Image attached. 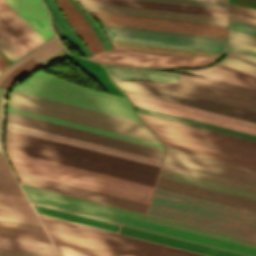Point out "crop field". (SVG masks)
<instances>
[{"instance_id":"crop-field-1","label":"crop field","mask_w":256,"mask_h":256,"mask_svg":"<svg viewBox=\"0 0 256 256\" xmlns=\"http://www.w3.org/2000/svg\"><path fill=\"white\" fill-rule=\"evenodd\" d=\"M149 214L256 240V212L157 187Z\"/></svg>"},{"instance_id":"crop-field-2","label":"crop field","mask_w":256,"mask_h":256,"mask_svg":"<svg viewBox=\"0 0 256 256\" xmlns=\"http://www.w3.org/2000/svg\"><path fill=\"white\" fill-rule=\"evenodd\" d=\"M159 176L256 200L255 169L171 148Z\"/></svg>"},{"instance_id":"crop-field-3","label":"crop field","mask_w":256,"mask_h":256,"mask_svg":"<svg viewBox=\"0 0 256 256\" xmlns=\"http://www.w3.org/2000/svg\"><path fill=\"white\" fill-rule=\"evenodd\" d=\"M15 171L150 203L152 186L6 150Z\"/></svg>"},{"instance_id":"crop-field-4","label":"crop field","mask_w":256,"mask_h":256,"mask_svg":"<svg viewBox=\"0 0 256 256\" xmlns=\"http://www.w3.org/2000/svg\"><path fill=\"white\" fill-rule=\"evenodd\" d=\"M39 217L51 241L61 242L113 256H156L163 248L194 256H204L40 215ZM157 256L189 255L163 249Z\"/></svg>"},{"instance_id":"crop-field-5","label":"crop field","mask_w":256,"mask_h":256,"mask_svg":"<svg viewBox=\"0 0 256 256\" xmlns=\"http://www.w3.org/2000/svg\"><path fill=\"white\" fill-rule=\"evenodd\" d=\"M14 90L140 121L127 98L82 88L41 72Z\"/></svg>"},{"instance_id":"crop-field-6","label":"crop field","mask_w":256,"mask_h":256,"mask_svg":"<svg viewBox=\"0 0 256 256\" xmlns=\"http://www.w3.org/2000/svg\"><path fill=\"white\" fill-rule=\"evenodd\" d=\"M8 105L158 142L143 123L12 91ZM159 143V142H158Z\"/></svg>"},{"instance_id":"crop-field-7","label":"crop field","mask_w":256,"mask_h":256,"mask_svg":"<svg viewBox=\"0 0 256 256\" xmlns=\"http://www.w3.org/2000/svg\"><path fill=\"white\" fill-rule=\"evenodd\" d=\"M176 71L189 73L181 70ZM202 77L204 78L182 74L179 85L148 81L135 82L256 111V89L205 76Z\"/></svg>"},{"instance_id":"crop-field-8","label":"crop field","mask_w":256,"mask_h":256,"mask_svg":"<svg viewBox=\"0 0 256 256\" xmlns=\"http://www.w3.org/2000/svg\"><path fill=\"white\" fill-rule=\"evenodd\" d=\"M25 193H27V192H25ZM28 194H31V193H28ZM28 194H27V196H28L30 202H35V203H39V204H43V205H47V206H51V207H55V208H59V209L79 213V214H83V215H87V216H91V217H95V218H99V219H103V220H107V221H111V222L131 226V227H135V228H139V229H143V230H147V231H151V232H155V233H159V234H163V235H167V236H171V237H175V238H179V239H183V240H187V241H191V242H195V243H199V244H203V245H207V246H211V247H216V248H220V249H224V250H228V251H232V252H236V253H240V254H244V255H248V256H256V251H255L256 248H252V247H248V246H244V245H239V244H235V243H231V242H227V241H223V240H219V239H215V238H211V237H207V236H203V235H199V234H194V233H190V232H186V231H182V230H178V229H174V228L154 224V225H158V226H162V227H166V228H170V229H174V230H178V231H182V232H186V233H190V234H194V235H198V236H202V237H206V238H210V239H214V240H219V241H223V242H227V243H231V244H235V245L255 249V250H251V249H247V248H243V247H239V246H235V245H231V244H227V243H223V242H219V241H214V240H210V239H206V238H202V237H198V236H194V235H190V234H186V233H182V232H178V231H174V230H170V229H166V228H162V227H158V226L149 225V224H153V223H149V222H145V221H141V220H137V219H133V218H129V217L109 213V214L129 218V219L149 223V224H145V223H141V222H137V221H133V220H129V219H125V218L105 214V213H108V212L101 213V212H104V211H101V212H97V211H100V210L93 211V210H96V209L88 210V209H92V208H88V207L68 203V204L88 208V209H84V208L64 204V203H67V202L60 203V202H63V201L56 202V201H59V200L52 201V200H55V199L48 200V199H51V198L44 199V198H47V197L40 198V197H43V196L36 197V196H39V195L32 196V195H35V194H32V195H28Z\"/></svg>"},{"instance_id":"crop-field-9","label":"crop field","mask_w":256,"mask_h":256,"mask_svg":"<svg viewBox=\"0 0 256 256\" xmlns=\"http://www.w3.org/2000/svg\"><path fill=\"white\" fill-rule=\"evenodd\" d=\"M111 40L225 53L226 39L102 25Z\"/></svg>"},{"instance_id":"crop-field-10","label":"crop field","mask_w":256,"mask_h":256,"mask_svg":"<svg viewBox=\"0 0 256 256\" xmlns=\"http://www.w3.org/2000/svg\"><path fill=\"white\" fill-rule=\"evenodd\" d=\"M34 205L38 213L40 214L76 222V223H80V224H84V225H88V226H92V227H96V228H100L108 231H112V228H113L114 233H116L117 231L119 233L131 235V236H135V237H139V238H143V239H147V240H151V241H155V242H159V243H163V244H167V245H171V246H175V247H179L187 250H192V251H196V252H200V253H204L212 256H243V255H239V254H235V253H231V252H227V251H223V250H219V249H215V248H211V247H207V246H203V245H199V244H195V243H191V242H187V241H183V240H179V239H175V238H171V237H167V236H163L155 233H150V232H146V231H142V230H138V229L113 223L116 229L115 231L113 224L111 223V226H112L111 228L110 223L106 221L89 218V217H85V216H81V215H77V214H73V213H69V212H65V211H61V210H57V209H53V208H49V207H45L37 204H34Z\"/></svg>"},{"instance_id":"crop-field-11","label":"crop field","mask_w":256,"mask_h":256,"mask_svg":"<svg viewBox=\"0 0 256 256\" xmlns=\"http://www.w3.org/2000/svg\"><path fill=\"white\" fill-rule=\"evenodd\" d=\"M88 59L113 65L153 68L198 67L215 61L213 59L128 50L120 48H114L108 52L95 55Z\"/></svg>"},{"instance_id":"crop-field-12","label":"crop field","mask_w":256,"mask_h":256,"mask_svg":"<svg viewBox=\"0 0 256 256\" xmlns=\"http://www.w3.org/2000/svg\"><path fill=\"white\" fill-rule=\"evenodd\" d=\"M144 122L149 126V128L154 132L157 137L256 161V147L148 120H144Z\"/></svg>"},{"instance_id":"crop-field-13","label":"crop field","mask_w":256,"mask_h":256,"mask_svg":"<svg viewBox=\"0 0 256 256\" xmlns=\"http://www.w3.org/2000/svg\"><path fill=\"white\" fill-rule=\"evenodd\" d=\"M124 91V90H123ZM131 104L256 135V123L236 119L128 91Z\"/></svg>"},{"instance_id":"crop-field-14","label":"crop field","mask_w":256,"mask_h":256,"mask_svg":"<svg viewBox=\"0 0 256 256\" xmlns=\"http://www.w3.org/2000/svg\"><path fill=\"white\" fill-rule=\"evenodd\" d=\"M101 24L226 38V27L90 11Z\"/></svg>"},{"instance_id":"crop-field-15","label":"crop field","mask_w":256,"mask_h":256,"mask_svg":"<svg viewBox=\"0 0 256 256\" xmlns=\"http://www.w3.org/2000/svg\"><path fill=\"white\" fill-rule=\"evenodd\" d=\"M5 139L155 176L159 168L6 130Z\"/></svg>"},{"instance_id":"crop-field-16","label":"crop field","mask_w":256,"mask_h":256,"mask_svg":"<svg viewBox=\"0 0 256 256\" xmlns=\"http://www.w3.org/2000/svg\"><path fill=\"white\" fill-rule=\"evenodd\" d=\"M7 121L90 141V142H94V143H98V144H102V145H106V146H111V147L131 151V152H135V153H139V154H143V155H147V156H151L159 159L162 158V155L164 152L162 150H158V149H154V148H150V147H146V146H142V145H138V144H134V143H130V142L70 128V127H66V126H62V125L14 114V113H10V112H8Z\"/></svg>"},{"instance_id":"crop-field-17","label":"crop field","mask_w":256,"mask_h":256,"mask_svg":"<svg viewBox=\"0 0 256 256\" xmlns=\"http://www.w3.org/2000/svg\"><path fill=\"white\" fill-rule=\"evenodd\" d=\"M121 89L256 122V112L170 92L130 81L115 82Z\"/></svg>"},{"instance_id":"crop-field-18","label":"crop field","mask_w":256,"mask_h":256,"mask_svg":"<svg viewBox=\"0 0 256 256\" xmlns=\"http://www.w3.org/2000/svg\"><path fill=\"white\" fill-rule=\"evenodd\" d=\"M5 146H6V149L8 150L100 172V173L132 180V181H136V182H140V183H144L152 186L155 185V182L157 179L155 177H151V176H147V175H143V174H139V173H135V172H131V171L83 160V159L39 149V148H35V147L23 145V144L11 142V141H7V140H5Z\"/></svg>"},{"instance_id":"crop-field-19","label":"crop field","mask_w":256,"mask_h":256,"mask_svg":"<svg viewBox=\"0 0 256 256\" xmlns=\"http://www.w3.org/2000/svg\"><path fill=\"white\" fill-rule=\"evenodd\" d=\"M22 187L24 191H27V192H31V193H35V194L63 200V201H68V202H72V203H76V204H80V205H84V206H88V207H92V208H96V209H100L108 212H113V213L129 216V217L149 221V222H154V223H158V224H162V225H166V226H170V227H174V228H178V229H182V230H186L194 233H199V234H203V235H207V236H211V237H215V238H219V239H223V240H227L235 243L256 247V242H252V241H248V240H244L236 237H231V236H227V235H223V234H219V233H215V232H211V231H207V230H203V229H199V228H195V227H191L183 224H178V223H174V222H170V221H166V220H162V219H158V218H154V217H150V216H146V215H142V214H138L130 211H125V210H121V209H117V208H113V207H109V206H105V205H101V204H97V203H93V202H89V201H85L77 198H72V197H68V196H64V195H60V194H56V193H52V192L24 186V185H22Z\"/></svg>"},{"instance_id":"crop-field-20","label":"crop field","mask_w":256,"mask_h":256,"mask_svg":"<svg viewBox=\"0 0 256 256\" xmlns=\"http://www.w3.org/2000/svg\"><path fill=\"white\" fill-rule=\"evenodd\" d=\"M88 10L226 26L227 18L81 2Z\"/></svg>"},{"instance_id":"crop-field-21","label":"crop field","mask_w":256,"mask_h":256,"mask_svg":"<svg viewBox=\"0 0 256 256\" xmlns=\"http://www.w3.org/2000/svg\"><path fill=\"white\" fill-rule=\"evenodd\" d=\"M6 129L60 142V143H64V144H68V145H72V146H77V147L109 154V155H113V156H117V157H121V158H125V159H129V160H133V161H137V162H141V163H146V164H150L158 167L161 161L159 159H155V158H151V157H147V156H143V155H139V154H135V153H131V152H127V151H123V150H119L111 147H106V146H102V145H98V144H94V143H90V142H86V141H82V140H78V139H74V138H70L62 135H57V134L9 123V122H7Z\"/></svg>"},{"instance_id":"crop-field-22","label":"crop field","mask_w":256,"mask_h":256,"mask_svg":"<svg viewBox=\"0 0 256 256\" xmlns=\"http://www.w3.org/2000/svg\"><path fill=\"white\" fill-rule=\"evenodd\" d=\"M17 174L21 182H24V183L72 194V195H76V196H80V197H84V198H88V199H92V200H96V201H100V202H104V203H108V204H112V205H116V206H120L128 209L144 212V213H147L148 211L149 205L147 204H143V203H139V202H135V201H131V200H127V199H123V198H119V197H115V196H111V195H107V194H103V193H99V192H95L87 189H82V188L18 173V172Z\"/></svg>"},{"instance_id":"crop-field-23","label":"crop field","mask_w":256,"mask_h":256,"mask_svg":"<svg viewBox=\"0 0 256 256\" xmlns=\"http://www.w3.org/2000/svg\"><path fill=\"white\" fill-rule=\"evenodd\" d=\"M0 25L28 52L45 41L4 0H0Z\"/></svg>"},{"instance_id":"crop-field-24","label":"crop field","mask_w":256,"mask_h":256,"mask_svg":"<svg viewBox=\"0 0 256 256\" xmlns=\"http://www.w3.org/2000/svg\"><path fill=\"white\" fill-rule=\"evenodd\" d=\"M158 187L256 211V201L159 177Z\"/></svg>"},{"instance_id":"crop-field-25","label":"crop field","mask_w":256,"mask_h":256,"mask_svg":"<svg viewBox=\"0 0 256 256\" xmlns=\"http://www.w3.org/2000/svg\"><path fill=\"white\" fill-rule=\"evenodd\" d=\"M45 40L53 35L48 11L41 0H5Z\"/></svg>"},{"instance_id":"crop-field-26","label":"crop field","mask_w":256,"mask_h":256,"mask_svg":"<svg viewBox=\"0 0 256 256\" xmlns=\"http://www.w3.org/2000/svg\"><path fill=\"white\" fill-rule=\"evenodd\" d=\"M0 220L40 225L26 197L0 194Z\"/></svg>"},{"instance_id":"crop-field-27","label":"crop field","mask_w":256,"mask_h":256,"mask_svg":"<svg viewBox=\"0 0 256 256\" xmlns=\"http://www.w3.org/2000/svg\"><path fill=\"white\" fill-rule=\"evenodd\" d=\"M74 30L86 44L92 55L104 51L90 25L69 0H55Z\"/></svg>"},{"instance_id":"crop-field-28","label":"crop field","mask_w":256,"mask_h":256,"mask_svg":"<svg viewBox=\"0 0 256 256\" xmlns=\"http://www.w3.org/2000/svg\"><path fill=\"white\" fill-rule=\"evenodd\" d=\"M102 65L105 67L113 81L124 79H146L151 81H162L178 84L181 75L165 71H152L146 69L125 68L104 64Z\"/></svg>"},{"instance_id":"crop-field-29","label":"crop field","mask_w":256,"mask_h":256,"mask_svg":"<svg viewBox=\"0 0 256 256\" xmlns=\"http://www.w3.org/2000/svg\"><path fill=\"white\" fill-rule=\"evenodd\" d=\"M8 111L62 124V125H66V126H70V127H74V128H78V129H82V130H86V131H90V132H94V133H98V134H102V135H106V136H110V137H114V138H118V139H122V140H126V141H130V142H134V143H138V144H142V145H146V146H150V147H154V148H158V149H162V150L165 149L161 144H158V143H154V142H150V141H146V140H142V139H138V138H134V137H130V136L70 122V121H66V120H62V119L14 108V107H10V106H8Z\"/></svg>"},{"instance_id":"crop-field-30","label":"crop field","mask_w":256,"mask_h":256,"mask_svg":"<svg viewBox=\"0 0 256 256\" xmlns=\"http://www.w3.org/2000/svg\"><path fill=\"white\" fill-rule=\"evenodd\" d=\"M81 1H90V2H99V3H108V4H116V5H125V6H134V7H143V8H152V9H161V10H170V11H179V12L227 17V11H223V10L153 3V2L136 1V0H81Z\"/></svg>"},{"instance_id":"crop-field-31","label":"crop field","mask_w":256,"mask_h":256,"mask_svg":"<svg viewBox=\"0 0 256 256\" xmlns=\"http://www.w3.org/2000/svg\"><path fill=\"white\" fill-rule=\"evenodd\" d=\"M133 107H134L135 111L138 113H142V114H146V115H150V116H154V117H158V118H162V119H166V120H170V121L206 129V130H211V131H215V132H219V133H223V134H227V135H231V136H235V137H239V138H243V139H247V140L256 142L255 135L242 133V132H238V131H234V130H230V129H226V128H222V127H218V126H214V125H210V124H206V123H202V122H198V121H194V120H190V119H186V118H182V117H178V116H174V115H170V114L134 106V105H133Z\"/></svg>"},{"instance_id":"crop-field-32","label":"crop field","mask_w":256,"mask_h":256,"mask_svg":"<svg viewBox=\"0 0 256 256\" xmlns=\"http://www.w3.org/2000/svg\"><path fill=\"white\" fill-rule=\"evenodd\" d=\"M0 236L50 243L43 228L0 222Z\"/></svg>"},{"instance_id":"crop-field-33","label":"crop field","mask_w":256,"mask_h":256,"mask_svg":"<svg viewBox=\"0 0 256 256\" xmlns=\"http://www.w3.org/2000/svg\"><path fill=\"white\" fill-rule=\"evenodd\" d=\"M65 57L70 59L77 66L90 74L107 93L122 95V93L111 82V80L108 78L105 71L99 64L75 57L70 54L65 55Z\"/></svg>"},{"instance_id":"crop-field-34","label":"crop field","mask_w":256,"mask_h":256,"mask_svg":"<svg viewBox=\"0 0 256 256\" xmlns=\"http://www.w3.org/2000/svg\"><path fill=\"white\" fill-rule=\"evenodd\" d=\"M160 141L163 143L164 146H167V147H171V148H175V149H179V150H183V151H187V152H191V153H195V154H199V155H203V156H207V157H211V158H215V159H219V160H223V161H227V162H231V163L256 169V162H252V161H248V160H244V159L164 140V139H160Z\"/></svg>"},{"instance_id":"crop-field-35","label":"crop field","mask_w":256,"mask_h":256,"mask_svg":"<svg viewBox=\"0 0 256 256\" xmlns=\"http://www.w3.org/2000/svg\"><path fill=\"white\" fill-rule=\"evenodd\" d=\"M46 4L47 8L53 15L54 19L62 29L63 33L67 37V39L85 56H91L90 52L75 34L73 29L70 27L64 16L59 11L58 7L56 6L54 0H43Z\"/></svg>"},{"instance_id":"crop-field-36","label":"crop field","mask_w":256,"mask_h":256,"mask_svg":"<svg viewBox=\"0 0 256 256\" xmlns=\"http://www.w3.org/2000/svg\"><path fill=\"white\" fill-rule=\"evenodd\" d=\"M61 48H63L62 45L59 43L55 36H52L49 40H47L44 44L35 49L33 52L16 61L9 68H7L0 76V83L13 69H15L17 66H19L21 63L28 60L29 58L32 57L38 62Z\"/></svg>"},{"instance_id":"crop-field-37","label":"crop field","mask_w":256,"mask_h":256,"mask_svg":"<svg viewBox=\"0 0 256 256\" xmlns=\"http://www.w3.org/2000/svg\"><path fill=\"white\" fill-rule=\"evenodd\" d=\"M0 248L57 255L52 244L0 237Z\"/></svg>"},{"instance_id":"crop-field-38","label":"crop field","mask_w":256,"mask_h":256,"mask_svg":"<svg viewBox=\"0 0 256 256\" xmlns=\"http://www.w3.org/2000/svg\"><path fill=\"white\" fill-rule=\"evenodd\" d=\"M0 170L11 171L3 154H0ZM0 193L24 196L13 173L0 171Z\"/></svg>"},{"instance_id":"crop-field-39","label":"crop field","mask_w":256,"mask_h":256,"mask_svg":"<svg viewBox=\"0 0 256 256\" xmlns=\"http://www.w3.org/2000/svg\"><path fill=\"white\" fill-rule=\"evenodd\" d=\"M202 70L256 83V72L218 63Z\"/></svg>"},{"instance_id":"crop-field-40","label":"crop field","mask_w":256,"mask_h":256,"mask_svg":"<svg viewBox=\"0 0 256 256\" xmlns=\"http://www.w3.org/2000/svg\"><path fill=\"white\" fill-rule=\"evenodd\" d=\"M221 63L256 71V57L227 50V57Z\"/></svg>"},{"instance_id":"crop-field-41","label":"crop field","mask_w":256,"mask_h":256,"mask_svg":"<svg viewBox=\"0 0 256 256\" xmlns=\"http://www.w3.org/2000/svg\"><path fill=\"white\" fill-rule=\"evenodd\" d=\"M138 115L144 119H148V120H152V121H156V122H160V123H164V124H168V125H172V126H176V127H180V128H184V129H188V130H192V131H196V132H200V133H204V134H208V135H212V136H216V137H220V138L256 146L255 142H251V141H247V140H243V139H239V138H235V137H231V136H227V135H223V134H219V133H215V132H211V131H206V130H202V129H198V128H194V127H190V126H186V125H182V124H178V123H174V122H170V121H166V120H162V119H158V118H154V117H150V116H146V115H142V114H138Z\"/></svg>"},{"instance_id":"crop-field-42","label":"crop field","mask_w":256,"mask_h":256,"mask_svg":"<svg viewBox=\"0 0 256 256\" xmlns=\"http://www.w3.org/2000/svg\"><path fill=\"white\" fill-rule=\"evenodd\" d=\"M40 67L32 58L21 64L15 70H13L9 76L2 82L1 87L9 88V86L19 77L28 73L29 71Z\"/></svg>"},{"instance_id":"crop-field-43","label":"crop field","mask_w":256,"mask_h":256,"mask_svg":"<svg viewBox=\"0 0 256 256\" xmlns=\"http://www.w3.org/2000/svg\"><path fill=\"white\" fill-rule=\"evenodd\" d=\"M145 1H153V2H162V3H171V4H180V5H188V6H197V7H206V8L227 10V4L214 3V2H205V1H196V0H145Z\"/></svg>"},{"instance_id":"crop-field-44","label":"crop field","mask_w":256,"mask_h":256,"mask_svg":"<svg viewBox=\"0 0 256 256\" xmlns=\"http://www.w3.org/2000/svg\"><path fill=\"white\" fill-rule=\"evenodd\" d=\"M54 246L56 247L59 256H107V255H103V254H99V253H95V252H91V251H87V250H82V249H78V248H74V247H70V246H66V245H61L63 252L59 246L58 243H54Z\"/></svg>"},{"instance_id":"crop-field-45","label":"crop field","mask_w":256,"mask_h":256,"mask_svg":"<svg viewBox=\"0 0 256 256\" xmlns=\"http://www.w3.org/2000/svg\"><path fill=\"white\" fill-rule=\"evenodd\" d=\"M228 44L256 51V40L228 33Z\"/></svg>"},{"instance_id":"crop-field-46","label":"crop field","mask_w":256,"mask_h":256,"mask_svg":"<svg viewBox=\"0 0 256 256\" xmlns=\"http://www.w3.org/2000/svg\"><path fill=\"white\" fill-rule=\"evenodd\" d=\"M189 72H193V73H197V74H201V75H205V76H209V77H213V78H217V79H221V80H225V81H229V82L256 88V84H254V83H250V82H246V81H242V80H238V79H234V78H230V77H226V76H222V75H218V74H214V73H210V72H206V71H202V70H194V71H189Z\"/></svg>"},{"instance_id":"crop-field-47","label":"crop field","mask_w":256,"mask_h":256,"mask_svg":"<svg viewBox=\"0 0 256 256\" xmlns=\"http://www.w3.org/2000/svg\"><path fill=\"white\" fill-rule=\"evenodd\" d=\"M228 29L256 36V27L229 20Z\"/></svg>"},{"instance_id":"crop-field-48","label":"crop field","mask_w":256,"mask_h":256,"mask_svg":"<svg viewBox=\"0 0 256 256\" xmlns=\"http://www.w3.org/2000/svg\"><path fill=\"white\" fill-rule=\"evenodd\" d=\"M0 36L10 44L21 56L28 53L12 36L0 26Z\"/></svg>"},{"instance_id":"crop-field-49","label":"crop field","mask_w":256,"mask_h":256,"mask_svg":"<svg viewBox=\"0 0 256 256\" xmlns=\"http://www.w3.org/2000/svg\"><path fill=\"white\" fill-rule=\"evenodd\" d=\"M229 11L256 18V10L255 9H251V8H247V7L229 3Z\"/></svg>"},{"instance_id":"crop-field-50","label":"crop field","mask_w":256,"mask_h":256,"mask_svg":"<svg viewBox=\"0 0 256 256\" xmlns=\"http://www.w3.org/2000/svg\"><path fill=\"white\" fill-rule=\"evenodd\" d=\"M0 256H54V255L0 249Z\"/></svg>"},{"instance_id":"crop-field-51","label":"crop field","mask_w":256,"mask_h":256,"mask_svg":"<svg viewBox=\"0 0 256 256\" xmlns=\"http://www.w3.org/2000/svg\"><path fill=\"white\" fill-rule=\"evenodd\" d=\"M0 49L12 60L21 57L10 45L0 37ZM16 61V60H15Z\"/></svg>"},{"instance_id":"crop-field-52","label":"crop field","mask_w":256,"mask_h":256,"mask_svg":"<svg viewBox=\"0 0 256 256\" xmlns=\"http://www.w3.org/2000/svg\"><path fill=\"white\" fill-rule=\"evenodd\" d=\"M229 19L256 26V19L255 18H251V17H247V16H243V15H239V14L229 12Z\"/></svg>"},{"instance_id":"crop-field-53","label":"crop field","mask_w":256,"mask_h":256,"mask_svg":"<svg viewBox=\"0 0 256 256\" xmlns=\"http://www.w3.org/2000/svg\"><path fill=\"white\" fill-rule=\"evenodd\" d=\"M6 92L7 90L0 89V137H1L2 122H3V106H4V99H5ZM0 152H2L1 143H0Z\"/></svg>"},{"instance_id":"crop-field-54","label":"crop field","mask_w":256,"mask_h":256,"mask_svg":"<svg viewBox=\"0 0 256 256\" xmlns=\"http://www.w3.org/2000/svg\"><path fill=\"white\" fill-rule=\"evenodd\" d=\"M65 53H67V51L63 48V49L57 51L56 53L52 54L51 56L45 58L44 60H42V61H40L38 63L42 66V65H44V64H46V63H48V62H50V61L60 57V56H62Z\"/></svg>"},{"instance_id":"crop-field-55","label":"crop field","mask_w":256,"mask_h":256,"mask_svg":"<svg viewBox=\"0 0 256 256\" xmlns=\"http://www.w3.org/2000/svg\"><path fill=\"white\" fill-rule=\"evenodd\" d=\"M229 2L256 9V0H229Z\"/></svg>"},{"instance_id":"crop-field-56","label":"crop field","mask_w":256,"mask_h":256,"mask_svg":"<svg viewBox=\"0 0 256 256\" xmlns=\"http://www.w3.org/2000/svg\"><path fill=\"white\" fill-rule=\"evenodd\" d=\"M227 49L236 51V52H240V53H244V54H248V55H252V56H256V52H254V51H250V50H246V49H242V48H238V47H234V46H230V45H228Z\"/></svg>"},{"instance_id":"crop-field-57","label":"crop field","mask_w":256,"mask_h":256,"mask_svg":"<svg viewBox=\"0 0 256 256\" xmlns=\"http://www.w3.org/2000/svg\"><path fill=\"white\" fill-rule=\"evenodd\" d=\"M9 65L10 64L3 57L0 56V72L2 73V71Z\"/></svg>"},{"instance_id":"crop-field-58","label":"crop field","mask_w":256,"mask_h":256,"mask_svg":"<svg viewBox=\"0 0 256 256\" xmlns=\"http://www.w3.org/2000/svg\"><path fill=\"white\" fill-rule=\"evenodd\" d=\"M228 32L256 39V37H254V36H250V35L234 32V31H230V30H228Z\"/></svg>"},{"instance_id":"crop-field-59","label":"crop field","mask_w":256,"mask_h":256,"mask_svg":"<svg viewBox=\"0 0 256 256\" xmlns=\"http://www.w3.org/2000/svg\"><path fill=\"white\" fill-rule=\"evenodd\" d=\"M205 1H214V2H223V3H227V0H205Z\"/></svg>"},{"instance_id":"crop-field-60","label":"crop field","mask_w":256,"mask_h":256,"mask_svg":"<svg viewBox=\"0 0 256 256\" xmlns=\"http://www.w3.org/2000/svg\"><path fill=\"white\" fill-rule=\"evenodd\" d=\"M1 74V73H0Z\"/></svg>"}]
</instances>
